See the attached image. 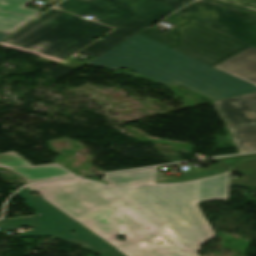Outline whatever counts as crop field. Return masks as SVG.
<instances>
[{"instance_id": "8a807250", "label": "crop field", "mask_w": 256, "mask_h": 256, "mask_svg": "<svg viewBox=\"0 0 256 256\" xmlns=\"http://www.w3.org/2000/svg\"><path fill=\"white\" fill-rule=\"evenodd\" d=\"M231 171L243 179L230 178ZM154 173L107 174L108 185L77 178L28 187L127 256H198L200 245L216 236L197 203L228 200L229 186L256 188V160L189 182L154 184ZM119 231L125 241L116 239Z\"/></svg>"}, {"instance_id": "ac0d7876", "label": "crop field", "mask_w": 256, "mask_h": 256, "mask_svg": "<svg viewBox=\"0 0 256 256\" xmlns=\"http://www.w3.org/2000/svg\"><path fill=\"white\" fill-rule=\"evenodd\" d=\"M171 16L190 25L161 41L139 32L89 64L112 70L126 67L215 101L256 91L255 86L212 68L251 46L187 17Z\"/></svg>"}, {"instance_id": "34b2d1b8", "label": "crop field", "mask_w": 256, "mask_h": 256, "mask_svg": "<svg viewBox=\"0 0 256 256\" xmlns=\"http://www.w3.org/2000/svg\"><path fill=\"white\" fill-rule=\"evenodd\" d=\"M192 0H65L55 7L76 15H94L96 21L116 28L81 50L91 55L83 63L67 57L113 30L95 21L51 9L0 45L41 56L38 60L78 69L145 27Z\"/></svg>"}, {"instance_id": "412701ff", "label": "crop field", "mask_w": 256, "mask_h": 256, "mask_svg": "<svg viewBox=\"0 0 256 256\" xmlns=\"http://www.w3.org/2000/svg\"><path fill=\"white\" fill-rule=\"evenodd\" d=\"M30 191L26 187L17 194L36 211L35 217L1 221L0 229L12 230L16 227L32 226L33 231L20 233V235L50 236L78 243L86 249L99 251L102 256H125L42 198L28 195ZM71 231L76 232V235L72 234Z\"/></svg>"}, {"instance_id": "f4fd0767", "label": "crop field", "mask_w": 256, "mask_h": 256, "mask_svg": "<svg viewBox=\"0 0 256 256\" xmlns=\"http://www.w3.org/2000/svg\"><path fill=\"white\" fill-rule=\"evenodd\" d=\"M177 12L256 47V16L208 0H197Z\"/></svg>"}, {"instance_id": "dd49c442", "label": "crop field", "mask_w": 256, "mask_h": 256, "mask_svg": "<svg viewBox=\"0 0 256 256\" xmlns=\"http://www.w3.org/2000/svg\"><path fill=\"white\" fill-rule=\"evenodd\" d=\"M214 105L228 123L238 152L256 151V92L215 102Z\"/></svg>"}, {"instance_id": "e52e79f7", "label": "crop field", "mask_w": 256, "mask_h": 256, "mask_svg": "<svg viewBox=\"0 0 256 256\" xmlns=\"http://www.w3.org/2000/svg\"><path fill=\"white\" fill-rule=\"evenodd\" d=\"M0 168H8L14 171L28 183L76 176L58 164L32 167L31 164L13 151L0 154Z\"/></svg>"}, {"instance_id": "d8731c3e", "label": "crop field", "mask_w": 256, "mask_h": 256, "mask_svg": "<svg viewBox=\"0 0 256 256\" xmlns=\"http://www.w3.org/2000/svg\"><path fill=\"white\" fill-rule=\"evenodd\" d=\"M33 0H0V31L12 33L42 11L25 7Z\"/></svg>"}, {"instance_id": "5a996713", "label": "crop field", "mask_w": 256, "mask_h": 256, "mask_svg": "<svg viewBox=\"0 0 256 256\" xmlns=\"http://www.w3.org/2000/svg\"><path fill=\"white\" fill-rule=\"evenodd\" d=\"M214 68L256 86V48L252 47Z\"/></svg>"}, {"instance_id": "3316defc", "label": "crop field", "mask_w": 256, "mask_h": 256, "mask_svg": "<svg viewBox=\"0 0 256 256\" xmlns=\"http://www.w3.org/2000/svg\"><path fill=\"white\" fill-rule=\"evenodd\" d=\"M164 20H165L166 22H168V23H170V24L176 26V27L173 28L172 30L168 31V32L165 33V34L159 32V31H156V30H154V29H152V28H150V27L146 28V29L143 30L142 32L145 33V34H148V35H150V36H152V37H155V38H157V39H159V40H161V39H163V38L169 36L170 34L176 32V31L180 30L181 28H183V27H185V26L188 25V24H186V23H184V22H182V21H179V20H177V19L171 17V16L165 18Z\"/></svg>"}, {"instance_id": "28ad6ade", "label": "crop field", "mask_w": 256, "mask_h": 256, "mask_svg": "<svg viewBox=\"0 0 256 256\" xmlns=\"http://www.w3.org/2000/svg\"><path fill=\"white\" fill-rule=\"evenodd\" d=\"M256 158L255 154H247V155H239V156H232V157H224V158H216L214 160L218 161L219 163L231 168L238 164L239 162L247 159Z\"/></svg>"}, {"instance_id": "d1516ede", "label": "crop field", "mask_w": 256, "mask_h": 256, "mask_svg": "<svg viewBox=\"0 0 256 256\" xmlns=\"http://www.w3.org/2000/svg\"><path fill=\"white\" fill-rule=\"evenodd\" d=\"M223 2L233 3L241 6L245 10L254 11L256 13V0H219Z\"/></svg>"}, {"instance_id": "22f410ed", "label": "crop field", "mask_w": 256, "mask_h": 256, "mask_svg": "<svg viewBox=\"0 0 256 256\" xmlns=\"http://www.w3.org/2000/svg\"><path fill=\"white\" fill-rule=\"evenodd\" d=\"M8 36H9V34H5V33L0 32V41H2L3 39H5Z\"/></svg>"}]
</instances>
